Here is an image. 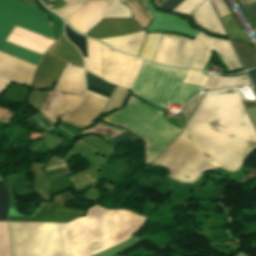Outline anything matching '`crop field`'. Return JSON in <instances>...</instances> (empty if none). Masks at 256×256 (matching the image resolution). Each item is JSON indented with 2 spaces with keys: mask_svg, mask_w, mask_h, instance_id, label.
Masks as SVG:
<instances>
[{
  "mask_svg": "<svg viewBox=\"0 0 256 256\" xmlns=\"http://www.w3.org/2000/svg\"><path fill=\"white\" fill-rule=\"evenodd\" d=\"M220 17L230 13L223 0H212Z\"/></svg>",
  "mask_w": 256,
  "mask_h": 256,
  "instance_id": "32",
  "label": "crop field"
},
{
  "mask_svg": "<svg viewBox=\"0 0 256 256\" xmlns=\"http://www.w3.org/2000/svg\"><path fill=\"white\" fill-rule=\"evenodd\" d=\"M9 241L6 223H0V256H10Z\"/></svg>",
  "mask_w": 256,
  "mask_h": 256,
  "instance_id": "27",
  "label": "crop field"
},
{
  "mask_svg": "<svg viewBox=\"0 0 256 256\" xmlns=\"http://www.w3.org/2000/svg\"><path fill=\"white\" fill-rule=\"evenodd\" d=\"M107 101L108 98L86 90L83 102L65 117L85 125L104 109Z\"/></svg>",
  "mask_w": 256,
  "mask_h": 256,
  "instance_id": "13",
  "label": "crop field"
},
{
  "mask_svg": "<svg viewBox=\"0 0 256 256\" xmlns=\"http://www.w3.org/2000/svg\"><path fill=\"white\" fill-rule=\"evenodd\" d=\"M231 39H243L250 44V40L246 37V35L243 33L237 22L235 21L232 14L227 15L225 17L221 18ZM253 45V44H252Z\"/></svg>",
  "mask_w": 256,
  "mask_h": 256,
  "instance_id": "23",
  "label": "crop field"
},
{
  "mask_svg": "<svg viewBox=\"0 0 256 256\" xmlns=\"http://www.w3.org/2000/svg\"><path fill=\"white\" fill-rule=\"evenodd\" d=\"M81 96H75L64 92L50 91L41 108V112L55 123L59 114L65 115L70 109L81 101Z\"/></svg>",
  "mask_w": 256,
  "mask_h": 256,
  "instance_id": "12",
  "label": "crop field"
},
{
  "mask_svg": "<svg viewBox=\"0 0 256 256\" xmlns=\"http://www.w3.org/2000/svg\"><path fill=\"white\" fill-rule=\"evenodd\" d=\"M102 121L126 128L145 143V164L152 163L182 130L165 120L162 112L130 97L125 108L109 114Z\"/></svg>",
  "mask_w": 256,
  "mask_h": 256,
  "instance_id": "4",
  "label": "crop field"
},
{
  "mask_svg": "<svg viewBox=\"0 0 256 256\" xmlns=\"http://www.w3.org/2000/svg\"><path fill=\"white\" fill-rule=\"evenodd\" d=\"M186 70L156 66L145 62L131 91L146 101L166 107L188 101L202 88L180 84Z\"/></svg>",
  "mask_w": 256,
  "mask_h": 256,
  "instance_id": "6",
  "label": "crop field"
},
{
  "mask_svg": "<svg viewBox=\"0 0 256 256\" xmlns=\"http://www.w3.org/2000/svg\"><path fill=\"white\" fill-rule=\"evenodd\" d=\"M117 17H131L130 10L119 3V1L113 0L110 8L108 9L105 18H117Z\"/></svg>",
  "mask_w": 256,
  "mask_h": 256,
  "instance_id": "26",
  "label": "crop field"
},
{
  "mask_svg": "<svg viewBox=\"0 0 256 256\" xmlns=\"http://www.w3.org/2000/svg\"><path fill=\"white\" fill-rule=\"evenodd\" d=\"M146 218L97 205L67 224L74 256H90L125 241ZM12 256H73L66 224L9 222Z\"/></svg>",
  "mask_w": 256,
  "mask_h": 256,
  "instance_id": "2",
  "label": "crop field"
},
{
  "mask_svg": "<svg viewBox=\"0 0 256 256\" xmlns=\"http://www.w3.org/2000/svg\"><path fill=\"white\" fill-rule=\"evenodd\" d=\"M69 63L83 68V59L64 37L56 43L51 51L41 60L32 82L31 87L36 89H50L57 81L65 64Z\"/></svg>",
  "mask_w": 256,
  "mask_h": 256,
  "instance_id": "8",
  "label": "crop field"
},
{
  "mask_svg": "<svg viewBox=\"0 0 256 256\" xmlns=\"http://www.w3.org/2000/svg\"><path fill=\"white\" fill-rule=\"evenodd\" d=\"M211 49L218 52L229 70L241 67L229 42L202 32L194 40L163 34L154 61L169 66L203 69Z\"/></svg>",
  "mask_w": 256,
  "mask_h": 256,
  "instance_id": "5",
  "label": "crop field"
},
{
  "mask_svg": "<svg viewBox=\"0 0 256 256\" xmlns=\"http://www.w3.org/2000/svg\"><path fill=\"white\" fill-rule=\"evenodd\" d=\"M192 13L198 25L226 35L209 1L205 0Z\"/></svg>",
  "mask_w": 256,
  "mask_h": 256,
  "instance_id": "16",
  "label": "crop field"
},
{
  "mask_svg": "<svg viewBox=\"0 0 256 256\" xmlns=\"http://www.w3.org/2000/svg\"><path fill=\"white\" fill-rule=\"evenodd\" d=\"M249 75H250L251 81L256 89V71L250 72Z\"/></svg>",
  "mask_w": 256,
  "mask_h": 256,
  "instance_id": "36",
  "label": "crop field"
},
{
  "mask_svg": "<svg viewBox=\"0 0 256 256\" xmlns=\"http://www.w3.org/2000/svg\"><path fill=\"white\" fill-rule=\"evenodd\" d=\"M51 1H52V0H51ZM65 1L69 3L71 0H65Z\"/></svg>",
  "mask_w": 256,
  "mask_h": 256,
  "instance_id": "37",
  "label": "crop field"
},
{
  "mask_svg": "<svg viewBox=\"0 0 256 256\" xmlns=\"http://www.w3.org/2000/svg\"><path fill=\"white\" fill-rule=\"evenodd\" d=\"M251 22L254 29H256V2L242 8Z\"/></svg>",
  "mask_w": 256,
  "mask_h": 256,
  "instance_id": "31",
  "label": "crop field"
},
{
  "mask_svg": "<svg viewBox=\"0 0 256 256\" xmlns=\"http://www.w3.org/2000/svg\"><path fill=\"white\" fill-rule=\"evenodd\" d=\"M134 135L130 134L129 132H127L126 130L121 133L120 135L116 136L115 138H113L108 144L113 146L121 141H124L130 137H133Z\"/></svg>",
  "mask_w": 256,
  "mask_h": 256,
  "instance_id": "34",
  "label": "crop field"
},
{
  "mask_svg": "<svg viewBox=\"0 0 256 256\" xmlns=\"http://www.w3.org/2000/svg\"><path fill=\"white\" fill-rule=\"evenodd\" d=\"M128 95H129L128 90L124 88L116 87L114 93L112 94L111 98L109 99L102 113H109L115 110L116 108L122 107Z\"/></svg>",
  "mask_w": 256,
  "mask_h": 256,
  "instance_id": "22",
  "label": "crop field"
},
{
  "mask_svg": "<svg viewBox=\"0 0 256 256\" xmlns=\"http://www.w3.org/2000/svg\"><path fill=\"white\" fill-rule=\"evenodd\" d=\"M54 89L83 95V69L67 63Z\"/></svg>",
  "mask_w": 256,
  "mask_h": 256,
  "instance_id": "14",
  "label": "crop field"
},
{
  "mask_svg": "<svg viewBox=\"0 0 256 256\" xmlns=\"http://www.w3.org/2000/svg\"><path fill=\"white\" fill-rule=\"evenodd\" d=\"M242 101H243V100H242ZM243 104H244V106H245L247 112H248V110L256 109V103L243 101ZM255 111H256V110H255ZM255 111H254V110H251V111H249V112H250V114H251V116H252V118H253V120H254L255 125H256V113H255ZM249 112H248V114H249ZM250 114H249V116H250ZM251 116H250V118H251ZM252 118H251V120H252ZM253 120H252V122H253ZM254 123H253V125H254ZM255 125H254V127H255ZM255 129H256V127H255Z\"/></svg>",
  "mask_w": 256,
  "mask_h": 256,
  "instance_id": "35",
  "label": "crop field"
},
{
  "mask_svg": "<svg viewBox=\"0 0 256 256\" xmlns=\"http://www.w3.org/2000/svg\"><path fill=\"white\" fill-rule=\"evenodd\" d=\"M9 203V194L5 184L0 185V220L6 221Z\"/></svg>",
  "mask_w": 256,
  "mask_h": 256,
  "instance_id": "28",
  "label": "crop field"
},
{
  "mask_svg": "<svg viewBox=\"0 0 256 256\" xmlns=\"http://www.w3.org/2000/svg\"><path fill=\"white\" fill-rule=\"evenodd\" d=\"M256 147V134L235 90L206 93L183 131L155 163L191 182L206 168L235 169Z\"/></svg>",
  "mask_w": 256,
  "mask_h": 256,
  "instance_id": "1",
  "label": "crop field"
},
{
  "mask_svg": "<svg viewBox=\"0 0 256 256\" xmlns=\"http://www.w3.org/2000/svg\"><path fill=\"white\" fill-rule=\"evenodd\" d=\"M86 43L85 70L109 83L130 89L143 60L120 54L95 40L86 39Z\"/></svg>",
  "mask_w": 256,
  "mask_h": 256,
  "instance_id": "7",
  "label": "crop field"
},
{
  "mask_svg": "<svg viewBox=\"0 0 256 256\" xmlns=\"http://www.w3.org/2000/svg\"><path fill=\"white\" fill-rule=\"evenodd\" d=\"M101 124H97L93 128L83 131V134H85V133H99V134H103V135H107V136L113 137L115 135L120 134L123 131V130L119 131L121 129L116 128V127H112V128H116V129H119V130L108 128L110 126L105 127L106 125L103 126L104 124L103 125H101Z\"/></svg>",
  "mask_w": 256,
  "mask_h": 256,
  "instance_id": "29",
  "label": "crop field"
},
{
  "mask_svg": "<svg viewBox=\"0 0 256 256\" xmlns=\"http://www.w3.org/2000/svg\"><path fill=\"white\" fill-rule=\"evenodd\" d=\"M86 78V88L92 92L98 93L100 95L110 98L112 92L114 91V85L107 84L103 80L85 72Z\"/></svg>",
  "mask_w": 256,
  "mask_h": 256,
  "instance_id": "18",
  "label": "crop field"
},
{
  "mask_svg": "<svg viewBox=\"0 0 256 256\" xmlns=\"http://www.w3.org/2000/svg\"><path fill=\"white\" fill-rule=\"evenodd\" d=\"M72 199L69 191L53 197L52 203L45 202L32 217H9L8 221L67 223L83 212L63 209L62 203Z\"/></svg>",
  "mask_w": 256,
  "mask_h": 256,
  "instance_id": "10",
  "label": "crop field"
},
{
  "mask_svg": "<svg viewBox=\"0 0 256 256\" xmlns=\"http://www.w3.org/2000/svg\"><path fill=\"white\" fill-rule=\"evenodd\" d=\"M244 67L256 63V52L251 45L242 41H232Z\"/></svg>",
  "mask_w": 256,
  "mask_h": 256,
  "instance_id": "20",
  "label": "crop field"
},
{
  "mask_svg": "<svg viewBox=\"0 0 256 256\" xmlns=\"http://www.w3.org/2000/svg\"><path fill=\"white\" fill-rule=\"evenodd\" d=\"M210 74L188 70L182 83L204 87Z\"/></svg>",
  "mask_w": 256,
  "mask_h": 256,
  "instance_id": "24",
  "label": "crop field"
},
{
  "mask_svg": "<svg viewBox=\"0 0 256 256\" xmlns=\"http://www.w3.org/2000/svg\"><path fill=\"white\" fill-rule=\"evenodd\" d=\"M183 0H167L163 3L159 9L171 12L175 7H177Z\"/></svg>",
  "mask_w": 256,
  "mask_h": 256,
  "instance_id": "33",
  "label": "crop field"
},
{
  "mask_svg": "<svg viewBox=\"0 0 256 256\" xmlns=\"http://www.w3.org/2000/svg\"><path fill=\"white\" fill-rule=\"evenodd\" d=\"M17 25L54 39L45 13L16 0H0V44ZM35 66L0 52V91L11 82L30 84Z\"/></svg>",
  "mask_w": 256,
  "mask_h": 256,
  "instance_id": "3",
  "label": "crop field"
},
{
  "mask_svg": "<svg viewBox=\"0 0 256 256\" xmlns=\"http://www.w3.org/2000/svg\"><path fill=\"white\" fill-rule=\"evenodd\" d=\"M144 37L145 31H142L127 36L100 39V41L124 53L138 56Z\"/></svg>",
  "mask_w": 256,
  "mask_h": 256,
  "instance_id": "15",
  "label": "crop field"
},
{
  "mask_svg": "<svg viewBox=\"0 0 256 256\" xmlns=\"http://www.w3.org/2000/svg\"><path fill=\"white\" fill-rule=\"evenodd\" d=\"M249 85L246 76L238 77H222V76H212L208 85L205 88L209 90L232 87V86H244Z\"/></svg>",
  "mask_w": 256,
  "mask_h": 256,
  "instance_id": "17",
  "label": "crop field"
},
{
  "mask_svg": "<svg viewBox=\"0 0 256 256\" xmlns=\"http://www.w3.org/2000/svg\"><path fill=\"white\" fill-rule=\"evenodd\" d=\"M143 30L133 19H103L85 36L95 39L126 35Z\"/></svg>",
  "mask_w": 256,
  "mask_h": 256,
  "instance_id": "11",
  "label": "crop field"
},
{
  "mask_svg": "<svg viewBox=\"0 0 256 256\" xmlns=\"http://www.w3.org/2000/svg\"><path fill=\"white\" fill-rule=\"evenodd\" d=\"M0 51H3L5 53H8L10 55H13L15 57H18L20 59H23L25 61H28L30 63H33L36 65L37 61L40 58V55H37L35 53L29 52L27 50L18 48L16 46L10 45L8 43L3 42L0 46Z\"/></svg>",
  "mask_w": 256,
  "mask_h": 256,
  "instance_id": "19",
  "label": "crop field"
},
{
  "mask_svg": "<svg viewBox=\"0 0 256 256\" xmlns=\"http://www.w3.org/2000/svg\"><path fill=\"white\" fill-rule=\"evenodd\" d=\"M161 35L162 34H159V33L147 34L139 56L152 61L155 55L158 43L160 41Z\"/></svg>",
  "mask_w": 256,
  "mask_h": 256,
  "instance_id": "21",
  "label": "crop field"
},
{
  "mask_svg": "<svg viewBox=\"0 0 256 256\" xmlns=\"http://www.w3.org/2000/svg\"><path fill=\"white\" fill-rule=\"evenodd\" d=\"M64 32L66 38L77 47V49L81 52L82 56L87 57L85 37L74 33L70 28L66 26V24Z\"/></svg>",
  "mask_w": 256,
  "mask_h": 256,
  "instance_id": "25",
  "label": "crop field"
},
{
  "mask_svg": "<svg viewBox=\"0 0 256 256\" xmlns=\"http://www.w3.org/2000/svg\"><path fill=\"white\" fill-rule=\"evenodd\" d=\"M111 0L85 1L53 12L60 15L77 32L85 34L105 15Z\"/></svg>",
  "mask_w": 256,
  "mask_h": 256,
  "instance_id": "9",
  "label": "crop field"
},
{
  "mask_svg": "<svg viewBox=\"0 0 256 256\" xmlns=\"http://www.w3.org/2000/svg\"><path fill=\"white\" fill-rule=\"evenodd\" d=\"M204 0H184L174 12L189 15L198 5H200Z\"/></svg>",
  "mask_w": 256,
  "mask_h": 256,
  "instance_id": "30",
  "label": "crop field"
}]
</instances>
